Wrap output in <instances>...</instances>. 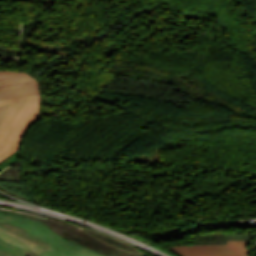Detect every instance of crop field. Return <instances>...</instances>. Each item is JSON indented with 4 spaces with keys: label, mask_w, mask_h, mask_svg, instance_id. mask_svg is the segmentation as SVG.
I'll list each match as a JSON object with an SVG mask.
<instances>
[{
    "label": "crop field",
    "mask_w": 256,
    "mask_h": 256,
    "mask_svg": "<svg viewBox=\"0 0 256 256\" xmlns=\"http://www.w3.org/2000/svg\"><path fill=\"white\" fill-rule=\"evenodd\" d=\"M0 256H26V255L0 244Z\"/></svg>",
    "instance_id": "obj_6"
},
{
    "label": "crop field",
    "mask_w": 256,
    "mask_h": 256,
    "mask_svg": "<svg viewBox=\"0 0 256 256\" xmlns=\"http://www.w3.org/2000/svg\"><path fill=\"white\" fill-rule=\"evenodd\" d=\"M0 179L23 182L22 170H21V168L10 167L0 173Z\"/></svg>",
    "instance_id": "obj_4"
},
{
    "label": "crop field",
    "mask_w": 256,
    "mask_h": 256,
    "mask_svg": "<svg viewBox=\"0 0 256 256\" xmlns=\"http://www.w3.org/2000/svg\"><path fill=\"white\" fill-rule=\"evenodd\" d=\"M19 151H20V150H19ZM19 151L13 153V154L10 155L8 158H6V159L3 160L2 162H0V171L4 170V169L7 168L8 166H10L12 163L18 161Z\"/></svg>",
    "instance_id": "obj_5"
},
{
    "label": "crop field",
    "mask_w": 256,
    "mask_h": 256,
    "mask_svg": "<svg viewBox=\"0 0 256 256\" xmlns=\"http://www.w3.org/2000/svg\"><path fill=\"white\" fill-rule=\"evenodd\" d=\"M169 250L182 256H249L246 240H227L226 245H185Z\"/></svg>",
    "instance_id": "obj_3"
},
{
    "label": "crop field",
    "mask_w": 256,
    "mask_h": 256,
    "mask_svg": "<svg viewBox=\"0 0 256 256\" xmlns=\"http://www.w3.org/2000/svg\"><path fill=\"white\" fill-rule=\"evenodd\" d=\"M41 94L39 82L24 72L0 71V99Z\"/></svg>",
    "instance_id": "obj_2"
},
{
    "label": "crop field",
    "mask_w": 256,
    "mask_h": 256,
    "mask_svg": "<svg viewBox=\"0 0 256 256\" xmlns=\"http://www.w3.org/2000/svg\"><path fill=\"white\" fill-rule=\"evenodd\" d=\"M10 104L0 126V161L20 148L25 131L39 119L40 95L0 100Z\"/></svg>",
    "instance_id": "obj_1"
},
{
    "label": "crop field",
    "mask_w": 256,
    "mask_h": 256,
    "mask_svg": "<svg viewBox=\"0 0 256 256\" xmlns=\"http://www.w3.org/2000/svg\"><path fill=\"white\" fill-rule=\"evenodd\" d=\"M8 106H9V105H7V106H1V107H0V123H1V121H2V119H3V117H4V114H5V112H6L7 108H8Z\"/></svg>",
    "instance_id": "obj_7"
}]
</instances>
